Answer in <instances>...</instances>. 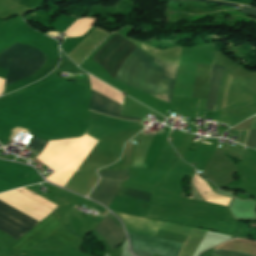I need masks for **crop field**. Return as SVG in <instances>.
<instances>
[{
	"label": "crop field",
	"instance_id": "crop-field-1",
	"mask_svg": "<svg viewBox=\"0 0 256 256\" xmlns=\"http://www.w3.org/2000/svg\"><path fill=\"white\" fill-rule=\"evenodd\" d=\"M137 49L129 40L116 34L92 60L114 78L122 63ZM177 67L176 64L160 61L161 72L171 78L175 79ZM160 70L158 59L138 49L123 63L115 79L152 97L165 94L171 101L175 80L166 77ZM165 95H157L155 98L169 103Z\"/></svg>",
	"mask_w": 256,
	"mask_h": 256
},
{
	"label": "crop field",
	"instance_id": "crop-field-2",
	"mask_svg": "<svg viewBox=\"0 0 256 256\" xmlns=\"http://www.w3.org/2000/svg\"><path fill=\"white\" fill-rule=\"evenodd\" d=\"M9 58L11 60L5 86L31 77L47 61L46 54L38 48L19 43H14L0 52V68L7 70Z\"/></svg>",
	"mask_w": 256,
	"mask_h": 256
},
{
	"label": "crop field",
	"instance_id": "crop-field-3",
	"mask_svg": "<svg viewBox=\"0 0 256 256\" xmlns=\"http://www.w3.org/2000/svg\"><path fill=\"white\" fill-rule=\"evenodd\" d=\"M45 237L63 243L77 250L82 242V240L64 229L54 211L45 220H43L40 224L14 243L11 248V256L25 254Z\"/></svg>",
	"mask_w": 256,
	"mask_h": 256
},
{
	"label": "crop field",
	"instance_id": "crop-field-4",
	"mask_svg": "<svg viewBox=\"0 0 256 256\" xmlns=\"http://www.w3.org/2000/svg\"><path fill=\"white\" fill-rule=\"evenodd\" d=\"M128 234L133 251L142 256H151L153 253L162 256H177L182 246L181 243L129 232Z\"/></svg>",
	"mask_w": 256,
	"mask_h": 256
},
{
	"label": "crop field",
	"instance_id": "crop-field-5",
	"mask_svg": "<svg viewBox=\"0 0 256 256\" xmlns=\"http://www.w3.org/2000/svg\"><path fill=\"white\" fill-rule=\"evenodd\" d=\"M39 222L0 202V230L19 239Z\"/></svg>",
	"mask_w": 256,
	"mask_h": 256
},
{
	"label": "crop field",
	"instance_id": "crop-field-6",
	"mask_svg": "<svg viewBox=\"0 0 256 256\" xmlns=\"http://www.w3.org/2000/svg\"><path fill=\"white\" fill-rule=\"evenodd\" d=\"M110 250L115 248V245L122 241L124 232L119 227L114 225L108 219H104L92 231Z\"/></svg>",
	"mask_w": 256,
	"mask_h": 256
},
{
	"label": "crop field",
	"instance_id": "crop-field-7",
	"mask_svg": "<svg viewBox=\"0 0 256 256\" xmlns=\"http://www.w3.org/2000/svg\"><path fill=\"white\" fill-rule=\"evenodd\" d=\"M118 216L124 226L126 231L135 232L143 235H148L154 237L161 222L159 221H148L140 218L129 217L121 214L114 213Z\"/></svg>",
	"mask_w": 256,
	"mask_h": 256
},
{
	"label": "crop field",
	"instance_id": "crop-field-8",
	"mask_svg": "<svg viewBox=\"0 0 256 256\" xmlns=\"http://www.w3.org/2000/svg\"><path fill=\"white\" fill-rule=\"evenodd\" d=\"M121 108H122L121 105H119V104H117V103H115V102H113L109 99H106V98H104V97H102V96H100V95L91 91V102H90L89 109L95 110V111H98V112H102V113H105V114H109V115H112V116H116V117H119V118L140 122V119H137V118H130V117L120 116Z\"/></svg>",
	"mask_w": 256,
	"mask_h": 256
},
{
	"label": "crop field",
	"instance_id": "crop-field-9",
	"mask_svg": "<svg viewBox=\"0 0 256 256\" xmlns=\"http://www.w3.org/2000/svg\"><path fill=\"white\" fill-rule=\"evenodd\" d=\"M121 183L122 181L101 179L88 197L99 201L108 208Z\"/></svg>",
	"mask_w": 256,
	"mask_h": 256
},
{
	"label": "crop field",
	"instance_id": "crop-field-10",
	"mask_svg": "<svg viewBox=\"0 0 256 256\" xmlns=\"http://www.w3.org/2000/svg\"><path fill=\"white\" fill-rule=\"evenodd\" d=\"M211 65L196 64L192 98L207 99Z\"/></svg>",
	"mask_w": 256,
	"mask_h": 256
},
{
	"label": "crop field",
	"instance_id": "crop-field-11",
	"mask_svg": "<svg viewBox=\"0 0 256 256\" xmlns=\"http://www.w3.org/2000/svg\"><path fill=\"white\" fill-rule=\"evenodd\" d=\"M223 70H224L223 68L212 64L210 89H209V96H208L206 110L213 111L214 105H216V103H217L216 96H217L218 87H219V83H220V79H221ZM215 108H216V106H215ZM214 111H215V109H214Z\"/></svg>",
	"mask_w": 256,
	"mask_h": 256
},
{
	"label": "crop field",
	"instance_id": "crop-field-12",
	"mask_svg": "<svg viewBox=\"0 0 256 256\" xmlns=\"http://www.w3.org/2000/svg\"><path fill=\"white\" fill-rule=\"evenodd\" d=\"M216 249L235 252V253H239V254H243V255H247V256H256V250L242 247V246L224 244ZM225 251L214 250L212 255H214V256H242V255L225 252Z\"/></svg>",
	"mask_w": 256,
	"mask_h": 256
},
{
	"label": "crop field",
	"instance_id": "crop-field-13",
	"mask_svg": "<svg viewBox=\"0 0 256 256\" xmlns=\"http://www.w3.org/2000/svg\"><path fill=\"white\" fill-rule=\"evenodd\" d=\"M150 194L149 192L120 187L117 196L148 202Z\"/></svg>",
	"mask_w": 256,
	"mask_h": 256
},
{
	"label": "crop field",
	"instance_id": "crop-field-14",
	"mask_svg": "<svg viewBox=\"0 0 256 256\" xmlns=\"http://www.w3.org/2000/svg\"><path fill=\"white\" fill-rule=\"evenodd\" d=\"M128 172L129 170H118V171L98 172V174L102 178H110L114 180H125Z\"/></svg>",
	"mask_w": 256,
	"mask_h": 256
},
{
	"label": "crop field",
	"instance_id": "crop-field-15",
	"mask_svg": "<svg viewBox=\"0 0 256 256\" xmlns=\"http://www.w3.org/2000/svg\"><path fill=\"white\" fill-rule=\"evenodd\" d=\"M46 143H47L46 140L34 138L29 146H31L41 152V150L43 149V147L45 146Z\"/></svg>",
	"mask_w": 256,
	"mask_h": 256
},
{
	"label": "crop field",
	"instance_id": "crop-field-16",
	"mask_svg": "<svg viewBox=\"0 0 256 256\" xmlns=\"http://www.w3.org/2000/svg\"><path fill=\"white\" fill-rule=\"evenodd\" d=\"M246 145L256 149V130H250Z\"/></svg>",
	"mask_w": 256,
	"mask_h": 256
},
{
	"label": "crop field",
	"instance_id": "crop-field-17",
	"mask_svg": "<svg viewBox=\"0 0 256 256\" xmlns=\"http://www.w3.org/2000/svg\"><path fill=\"white\" fill-rule=\"evenodd\" d=\"M187 1L210 2V3H216V4H221V5H227V6L240 8V6H238V5H233V4H228V3H223V2L213 1V0H187Z\"/></svg>",
	"mask_w": 256,
	"mask_h": 256
},
{
	"label": "crop field",
	"instance_id": "crop-field-18",
	"mask_svg": "<svg viewBox=\"0 0 256 256\" xmlns=\"http://www.w3.org/2000/svg\"><path fill=\"white\" fill-rule=\"evenodd\" d=\"M241 12L256 16V10L252 9V8H249V7L243 6L242 9H241Z\"/></svg>",
	"mask_w": 256,
	"mask_h": 256
},
{
	"label": "crop field",
	"instance_id": "crop-field-19",
	"mask_svg": "<svg viewBox=\"0 0 256 256\" xmlns=\"http://www.w3.org/2000/svg\"><path fill=\"white\" fill-rule=\"evenodd\" d=\"M251 129H256V119H255V121H254V123H253Z\"/></svg>",
	"mask_w": 256,
	"mask_h": 256
}]
</instances>
